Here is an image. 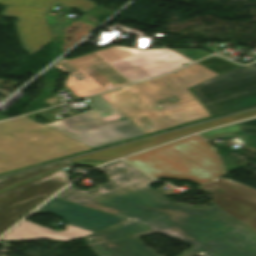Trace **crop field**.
I'll use <instances>...</instances> for the list:
<instances>
[{
	"label": "crop field",
	"instance_id": "crop-field-1",
	"mask_svg": "<svg viewBox=\"0 0 256 256\" xmlns=\"http://www.w3.org/2000/svg\"><path fill=\"white\" fill-rule=\"evenodd\" d=\"M109 183L86 192L70 185L55 198L126 219L85 237L97 256H160L136 237L161 232L194 245L180 256H256V235L216 205L187 208L147 185L122 160L98 168Z\"/></svg>",
	"mask_w": 256,
	"mask_h": 256
},
{
	"label": "crop field",
	"instance_id": "crop-field-2",
	"mask_svg": "<svg viewBox=\"0 0 256 256\" xmlns=\"http://www.w3.org/2000/svg\"><path fill=\"white\" fill-rule=\"evenodd\" d=\"M125 160L155 178L189 179L199 185L227 173L214 146L197 136Z\"/></svg>",
	"mask_w": 256,
	"mask_h": 256
},
{
	"label": "crop field",
	"instance_id": "crop-field-3",
	"mask_svg": "<svg viewBox=\"0 0 256 256\" xmlns=\"http://www.w3.org/2000/svg\"><path fill=\"white\" fill-rule=\"evenodd\" d=\"M51 213L66 221V231L55 232L24 220L3 240L55 239L67 243L112 225L123 218L52 198L34 214Z\"/></svg>",
	"mask_w": 256,
	"mask_h": 256
},
{
	"label": "crop field",
	"instance_id": "crop-field-4",
	"mask_svg": "<svg viewBox=\"0 0 256 256\" xmlns=\"http://www.w3.org/2000/svg\"><path fill=\"white\" fill-rule=\"evenodd\" d=\"M213 117L256 105V62L239 66L193 88Z\"/></svg>",
	"mask_w": 256,
	"mask_h": 256
},
{
	"label": "crop field",
	"instance_id": "crop-field-5",
	"mask_svg": "<svg viewBox=\"0 0 256 256\" xmlns=\"http://www.w3.org/2000/svg\"><path fill=\"white\" fill-rule=\"evenodd\" d=\"M67 174L57 170L0 193V234L68 183Z\"/></svg>",
	"mask_w": 256,
	"mask_h": 256
},
{
	"label": "crop field",
	"instance_id": "crop-field-6",
	"mask_svg": "<svg viewBox=\"0 0 256 256\" xmlns=\"http://www.w3.org/2000/svg\"><path fill=\"white\" fill-rule=\"evenodd\" d=\"M206 117H210V115L196 101L130 119L111 125V127L127 139Z\"/></svg>",
	"mask_w": 256,
	"mask_h": 256
},
{
	"label": "crop field",
	"instance_id": "crop-field-7",
	"mask_svg": "<svg viewBox=\"0 0 256 256\" xmlns=\"http://www.w3.org/2000/svg\"><path fill=\"white\" fill-rule=\"evenodd\" d=\"M214 195L213 203L256 234V196L233 181L217 178L200 187Z\"/></svg>",
	"mask_w": 256,
	"mask_h": 256
},
{
	"label": "crop field",
	"instance_id": "crop-field-8",
	"mask_svg": "<svg viewBox=\"0 0 256 256\" xmlns=\"http://www.w3.org/2000/svg\"><path fill=\"white\" fill-rule=\"evenodd\" d=\"M45 10L27 7L6 6L0 16L18 17L15 23L21 45L29 54H34L52 40L43 18Z\"/></svg>",
	"mask_w": 256,
	"mask_h": 256
},
{
	"label": "crop field",
	"instance_id": "crop-field-9",
	"mask_svg": "<svg viewBox=\"0 0 256 256\" xmlns=\"http://www.w3.org/2000/svg\"><path fill=\"white\" fill-rule=\"evenodd\" d=\"M252 116H256V110H252L249 112H245L242 114H238L232 117H228L222 120H218V121H214V122H210V123H206V124H202L199 126H195V127H191L188 129H184V130H180L177 132H173V133H169V134H165V135H161L158 137H154V138H150V139H146V140H142L139 142H135V143H131L128 145H124L121 147H117V148H113L110 150H106V151H102L96 154H92L89 156H85V157H81V158H77V159H73L71 161L75 162L78 160H81L83 158H87V159H106V160H111L113 158L131 153V152H135L141 149H145L190 133H193L195 131L198 130H202V129H206V128H210L219 124H226V123H230L236 120H240V119H244V118H248V117H252Z\"/></svg>",
	"mask_w": 256,
	"mask_h": 256
},
{
	"label": "crop field",
	"instance_id": "crop-field-10",
	"mask_svg": "<svg viewBox=\"0 0 256 256\" xmlns=\"http://www.w3.org/2000/svg\"><path fill=\"white\" fill-rule=\"evenodd\" d=\"M45 125L66 136L108 126L92 111Z\"/></svg>",
	"mask_w": 256,
	"mask_h": 256
},
{
	"label": "crop field",
	"instance_id": "crop-field-11",
	"mask_svg": "<svg viewBox=\"0 0 256 256\" xmlns=\"http://www.w3.org/2000/svg\"><path fill=\"white\" fill-rule=\"evenodd\" d=\"M183 63L188 64L190 62L184 59L183 57L179 56L148 66L137 68L131 71L120 73V75H122L126 80L132 83L173 71L183 66Z\"/></svg>",
	"mask_w": 256,
	"mask_h": 256
},
{
	"label": "crop field",
	"instance_id": "crop-field-12",
	"mask_svg": "<svg viewBox=\"0 0 256 256\" xmlns=\"http://www.w3.org/2000/svg\"><path fill=\"white\" fill-rule=\"evenodd\" d=\"M175 56H179V55L168 49L162 48V49L154 50L141 55H137L134 57H130L127 59H123L120 61L108 63V65H110L114 70L120 73V72L131 70L137 67L162 61L168 58H172Z\"/></svg>",
	"mask_w": 256,
	"mask_h": 256
},
{
	"label": "crop field",
	"instance_id": "crop-field-13",
	"mask_svg": "<svg viewBox=\"0 0 256 256\" xmlns=\"http://www.w3.org/2000/svg\"><path fill=\"white\" fill-rule=\"evenodd\" d=\"M70 137L90 148L124 140V138L121 137L110 126L85 132L82 134L70 136Z\"/></svg>",
	"mask_w": 256,
	"mask_h": 256
},
{
	"label": "crop field",
	"instance_id": "crop-field-14",
	"mask_svg": "<svg viewBox=\"0 0 256 256\" xmlns=\"http://www.w3.org/2000/svg\"><path fill=\"white\" fill-rule=\"evenodd\" d=\"M125 84H129V82H127L123 77L117 74L73 88H69V90L72 91L76 96L81 98Z\"/></svg>",
	"mask_w": 256,
	"mask_h": 256
},
{
	"label": "crop field",
	"instance_id": "crop-field-15",
	"mask_svg": "<svg viewBox=\"0 0 256 256\" xmlns=\"http://www.w3.org/2000/svg\"><path fill=\"white\" fill-rule=\"evenodd\" d=\"M154 82L181 104L196 100L175 74L154 80Z\"/></svg>",
	"mask_w": 256,
	"mask_h": 256
},
{
	"label": "crop field",
	"instance_id": "crop-field-16",
	"mask_svg": "<svg viewBox=\"0 0 256 256\" xmlns=\"http://www.w3.org/2000/svg\"><path fill=\"white\" fill-rule=\"evenodd\" d=\"M113 74H117L111 67L107 64L101 65L95 68H91L85 71H81L75 74L69 75L65 87H73L79 84L90 82L96 79L107 77Z\"/></svg>",
	"mask_w": 256,
	"mask_h": 256
},
{
	"label": "crop field",
	"instance_id": "crop-field-17",
	"mask_svg": "<svg viewBox=\"0 0 256 256\" xmlns=\"http://www.w3.org/2000/svg\"><path fill=\"white\" fill-rule=\"evenodd\" d=\"M182 82L191 88L203 81H206L216 75L217 73L195 63L187 68H184L176 73Z\"/></svg>",
	"mask_w": 256,
	"mask_h": 256
},
{
	"label": "crop field",
	"instance_id": "crop-field-18",
	"mask_svg": "<svg viewBox=\"0 0 256 256\" xmlns=\"http://www.w3.org/2000/svg\"><path fill=\"white\" fill-rule=\"evenodd\" d=\"M101 64H105L101 59H99L96 55L93 53L81 56L72 60H62L54 67L68 73H75L81 70H85L91 67H95Z\"/></svg>",
	"mask_w": 256,
	"mask_h": 256
},
{
	"label": "crop field",
	"instance_id": "crop-field-19",
	"mask_svg": "<svg viewBox=\"0 0 256 256\" xmlns=\"http://www.w3.org/2000/svg\"><path fill=\"white\" fill-rule=\"evenodd\" d=\"M91 102L86 103L89 105L99 117H101L109 125L127 120L121 113L114 109L100 96L90 98Z\"/></svg>",
	"mask_w": 256,
	"mask_h": 256
},
{
	"label": "crop field",
	"instance_id": "crop-field-20",
	"mask_svg": "<svg viewBox=\"0 0 256 256\" xmlns=\"http://www.w3.org/2000/svg\"><path fill=\"white\" fill-rule=\"evenodd\" d=\"M119 92H121L146 114L162 110L161 107H159L135 85L119 90Z\"/></svg>",
	"mask_w": 256,
	"mask_h": 256
},
{
	"label": "crop field",
	"instance_id": "crop-field-21",
	"mask_svg": "<svg viewBox=\"0 0 256 256\" xmlns=\"http://www.w3.org/2000/svg\"><path fill=\"white\" fill-rule=\"evenodd\" d=\"M101 96L128 119L145 115V113H143L118 91Z\"/></svg>",
	"mask_w": 256,
	"mask_h": 256
},
{
	"label": "crop field",
	"instance_id": "crop-field-22",
	"mask_svg": "<svg viewBox=\"0 0 256 256\" xmlns=\"http://www.w3.org/2000/svg\"><path fill=\"white\" fill-rule=\"evenodd\" d=\"M136 86L139 87L163 109L180 105V103H178L153 81L137 84Z\"/></svg>",
	"mask_w": 256,
	"mask_h": 256
},
{
	"label": "crop field",
	"instance_id": "crop-field-23",
	"mask_svg": "<svg viewBox=\"0 0 256 256\" xmlns=\"http://www.w3.org/2000/svg\"><path fill=\"white\" fill-rule=\"evenodd\" d=\"M70 163H72V162L69 160V161L58 163V164L50 165V166H47V167H43V168H40V169H36V170H33V171L18 174V175H15V176L0 179V190L5 189V188H7L9 186H12L14 184L20 183L22 181L28 180L30 178L36 177L38 175L44 174L46 172L52 171V170L57 169L59 167L65 166V165L70 164Z\"/></svg>",
	"mask_w": 256,
	"mask_h": 256
},
{
	"label": "crop field",
	"instance_id": "crop-field-24",
	"mask_svg": "<svg viewBox=\"0 0 256 256\" xmlns=\"http://www.w3.org/2000/svg\"><path fill=\"white\" fill-rule=\"evenodd\" d=\"M151 50H154V49H151ZM151 50H135V49H129L124 47L113 46L106 50L94 52V54H96L103 61L108 63V62H112L115 60H119L122 58L137 55V54L144 53Z\"/></svg>",
	"mask_w": 256,
	"mask_h": 256
},
{
	"label": "crop field",
	"instance_id": "crop-field-25",
	"mask_svg": "<svg viewBox=\"0 0 256 256\" xmlns=\"http://www.w3.org/2000/svg\"><path fill=\"white\" fill-rule=\"evenodd\" d=\"M199 64L219 73L222 74L230 69H233L239 65L229 62L227 60L212 56L205 60L198 62Z\"/></svg>",
	"mask_w": 256,
	"mask_h": 256
},
{
	"label": "crop field",
	"instance_id": "crop-field-26",
	"mask_svg": "<svg viewBox=\"0 0 256 256\" xmlns=\"http://www.w3.org/2000/svg\"><path fill=\"white\" fill-rule=\"evenodd\" d=\"M54 0H0L1 4L46 9Z\"/></svg>",
	"mask_w": 256,
	"mask_h": 256
},
{
	"label": "crop field",
	"instance_id": "crop-field-27",
	"mask_svg": "<svg viewBox=\"0 0 256 256\" xmlns=\"http://www.w3.org/2000/svg\"><path fill=\"white\" fill-rule=\"evenodd\" d=\"M238 132H241L238 128V125H232L225 128H218V129H215L206 133H202L199 135H201L205 139H209V138H213V137L224 135V134H233Z\"/></svg>",
	"mask_w": 256,
	"mask_h": 256
},
{
	"label": "crop field",
	"instance_id": "crop-field-28",
	"mask_svg": "<svg viewBox=\"0 0 256 256\" xmlns=\"http://www.w3.org/2000/svg\"><path fill=\"white\" fill-rule=\"evenodd\" d=\"M58 1H60L64 4H67V5L75 8V9H77V10L83 12V13H85L86 11H88L90 8H92L95 5V4L90 3L86 0H58Z\"/></svg>",
	"mask_w": 256,
	"mask_h": 256
},
{
	"label": "crop field",
	"instance_id": "crop-field-29",
	"mask_svg": "<svg viewBox=\"0 0 256 256\" xmlns=\"http://www.w3.org/2000/svg\"><path fill=\"white\" fill-rule=\"evenodd\" d=\"M172 50H174V51H176L194 61L211 54V53H208L203 50H186V49H172Z\"/></svg>",
	"mask_w": 256,
	"mask_h": 256
},
{
	"label": "crop field",
	"instance_id": "crop-field-30",
	"mask_svg": "<svg viewBox=\"0 0 256 256\" xmlns=\"http://www.w3.org/2000/svg\"><path fill=\"white\" fill-rule=\"evenodd\" d=\"M238 124L256 126V119L240 122ZM249 126H239L240 130L242 131L241 133L247 135H256V127Z\"/></svg>",
	"mask_w": 256,
	"mask_h": 256
},
{
	"label": "crop field",
	"instance_id": "crop-field-31",
	"mask_svg": "<svg viewBox=\"0 0 256 256\" xmlns=\"http://www.w3.org/2000/svg\"><path fill=\"white\" fill-rule=\"evenodd\" d=\"M106 161H102V160H82L79 162H76L77 165H82V166H92L95 167L101 163H104Z\"/></svg>",
	"mask_w": 256,
	"mask_h": 256
},
{
	"label": "crop field",
	"instance_id": "crop-field-32",
	"mask_svg": "<svg viewBox=\"0 0 256 256\" xmlns=\"http://www.w3.org/2000/svg\"><path fill=\"white\" fill-rule=\"evenodd\" d=\"M44 113H45V115L47 116L46 117V120H49V121H54V112H52V110L51 109H49V110H44L43 111Z\"/></svg>",
	"mask_w": 256,
	"mask_h": 256
},
{
	"label": "crop field",
	"instance_id": "crop-field-33",
	"mask_svg": "<svg viewBox=\"0 0 256 256\" xmlns=\"http://www.w3.org/2000/svg\"><path fill=\"white\" fill-rule=\"evenodd\" d=\"M236 184L239 186V188H241V189H243V190H246V191H248V192L253 193V194L256 195V190H255V189H252V188L243 186V185L238 184V183H236Z\"/></svg>",
	"mask_w": 256,
	"mask_h": 256
},
{
	"label": "crop field",
	"instance_id": "crop-field-34",
	"mask_svg": "<svg viewBox=\"0 0 256 256\" xmlns=\"http://www.w3.org/2000/svg\"><path fill=\"white\" fill-rule=\"evenodd\" d=\"M42 116H43L42 112H39V113L31 114V115L28 116V117H30V118H32V119H34V120H36V121H38V122H40V123H42V124H45V123L39 121L38 119H36L37 117H42Z\"/></svg>",
	"mask_w": 256,
	"mask_h": 256
},
{
	"label": "crop field",
	"instance_id": "crop-field-35",
	"mask_svg": "<svg viewBox=\"0 0 256 256\" xmlns=\"http://www.w3.org/2000/svg\"><path fill=\"white\" fill-rule=\"evenodd\" d=\"M45 101L48 103L49 106L55 105V95L52 98L47 99Z\"/></svg>",
	"mask_w": 256,
	"mask_h": 256
}]
</instances>
